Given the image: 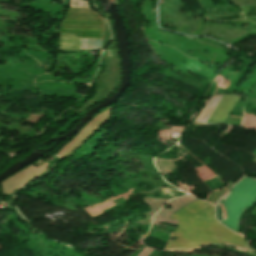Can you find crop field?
Listing matches in <instances>:
<instances>
[{
	"instance_id": "ac0d7876",
	"label": "crop field",
	"mask_w": 256,
	"mask_h": 256,
	"mask_svg": "<svg viewBox=\"0 0 256 256\" xmlns=\"http://www.w3.org/2000/svg\"><path fill=\"white\" fill-rule=\"evenodd\" d=\"M255 200L256 181L244 178L235 185L227 199L223 202L228 219L221 223L236 232L240 214L247 207H252Z\"/></svg>"
},
{
	"instance_id": "8a807250",
	"label": "crop field",
	"mask_w": 256,
	"mask_h": 256,
	"mask_svg": "<svg viewBox=\"0 0 256 256\" xmlns=\"http://www.w3.org/2000/svg\"><path fill=\"white\" fill-rule=\"evenodd\" d=\"M172 218L178 219V230L176 234L171 233V237H180L170 241L166 250L188 251L197 249L208 243H220L221 241L240 245L248 248L244 238L232 233L228 229L200 221L172 214Z\"/></svg>"
},
{
	"instance_id": "e52e79f7",
	"label": "crop field",
	"mask_w": 256,
	"mask_h": 256,
	"mask_svg": "<svg viewBox=\"0 0 256 256\" xmlns=\"http://www.w3.org/2000/svg\"><path fill=\"white\" fill-rule=\"evenodd\" d=\"M236 6L245 4H256V0H231Z\"/></svg>"
},
{
	"instance_id": "412701ff",
	"label": "crop field",
	"mask_w": 256,
	"mask_h": 256,
	"mask_svg": "<svg viewBox=\"0 0 256 256\" xmlns=\"http://www.w3.org/2000/svg\"><path fill=\"white\" fill-rule=\"evenodd\" d=\"M221 96L219 97H211L208 103L205 105L199 116L196 118V122L206 123L209 116L211 115L212 111L214 110L215 106L217 105L218 101L220 100Z\"/></svg>"
},
{
	"instance_id": "d8731c3e",
	"label": "crop field",
	"mask_w": 256,
	"mask_h": 256,
	"mask_svg": "<svg viewBox=\"0 0 256 256\" xmlns=\"http://www.w3.org/2000/svg\"><path fill=\"white\" fill-rule=\"evenodd\" d=\"M222 211L221 208L219 206H217V216H218V220L221 221L222 219Z\"/></svg>"
},
{
	"instance_id": "34b2d1b8",
	"label": "crop field",
	"mask_w": 256,
	"mask_h": 256,
	"mask_svg": "<svg viewBox=\"0 0 256 256\" xmlns=\"http://www.w3.org/2000/svg\"><path fill=\"white\" fill-rule=\"evenodd\" d=\"M238 99V96L223 95L206 125L224 123L226 117L232 110L233 106L237 103Z\"/></svg>"
},
{
	"instance_id": "f4fd0767",
	"label": "crop field",
	"mask_w": 256,
	"mask_h": 256,
	"mask_svg": "<svg viewBox=\"0 0 256 256\" xmlns=\"http://www.w3.org/2000/svg\"><path fill=\"white\" fill-rule=\"evenodd\" d=\"M209 206L208 204L202 202V201H195L189 205H187L186 207L182 208L181 210L177 211L176 214H180L183 216H189L205 207Z\"/></svg>"
},
{
	"instance_id": "dd49c442",
	"label": "crop field",
	"mask_w": 256,
	"mask_h": 256,
	"mask_svg": "<svg viewBox=\"0 0 256 256\" xmlns=\"http://www.w3.org/2000/svg\"><path fill=\"white\" fill-rule=\"evenodd\" d=\"M192 218L218 223L214 216V208L212 206L190 216ZM219 224V223H218Z\"/></svg>"
}]
</instances>
